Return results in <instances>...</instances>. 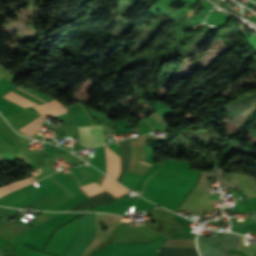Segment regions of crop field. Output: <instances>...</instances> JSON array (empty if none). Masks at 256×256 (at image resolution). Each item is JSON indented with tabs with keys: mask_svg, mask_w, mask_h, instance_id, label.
<instances>
[{
	"mask_svg": "<svg viewBox=\"0 0 256 256\" xmlns=\"http://www.w3.org/2000/svg\"><path fill=\"white\" fill-rule=\"evenodd\" d=\"M81 145L93 147L104 144L102 126L78 127Z\"/></svg>",
	"mask_w": 256,
	"mask_h": 256,
	"instance_id": "obj_1",
	"label": "crop field"
},
{
	"mask_svg": "<svg viewBox=\"0 0 256 256\" xmlns=\"http://www.w3.org/2000/svg\"><path fill=\"white\" fill-rule=\"evenodd\" d=\"M4 97L24 106H33V105H39L44 102L18 90L17 88L12 90L10 93L6 94Z\"/></svg>",
	"mask_w": 256,
	"mask_h": 256,
	"instance_id": "obj_2",
	"label": "crop field"
},
{
	"mask_svg": "<svg viewBox=\"0 0 256 256\" xmlns=\"http://www.w3.org/2000/svg\"><path fill=\"white\" fill-rule=\"evenodd\" d=\"M107 156V174L116 179L120 171L119 157L105 146Z\"/></svg>",
	"mask_w": 256,
	"mask_h": 256,
	"instance_id": "obj_3",
	"label": "crop field"
},
{
	"mask_svg": "<svg viewBox=\"0 0 256 256\" xmlns=\"http://www.w3.org/2000/svg\"><path fill=\"white\" fill-rule=\"evenodd\" d=\"M59 106H62L61 103L52 100V101H50V102H48L44 105L34 106V108L39 113H41V112H44V111H47V110H50V109H53V108H56V107H59ZM64 112H65V107L62 106V107H59V108L41 113V115L43 116V118H45V117H48V116L57 115V114H61V113H64Z\"/></svg>",
	"mask_w": 256,
	"mask_h": 256,
	"instance_id": "obj_4",
	"label": "crop field"
},
{
	"mask_svg": "<svg viewBox=\"0 0 256 256\" xmlns=\"http://www.w3.org/2000/svg\"><path fill=\"white\" fill-rule=\"evenodd\" d=\"M130 140L121 142V174L118 177L117 181L120 182L122 177L124 176L125 172L129 167V160H130Z\"/></svg>",
	"mask_w": 256,
	"mask_h": 256,
	"instance_id": "obj_5",
	"label": "crop field"
},
{
	"mask_svg": "<svg viewBox=\"0 0 256 256\" xmlns=\"http://www.w3.org/2000/svg\"><path fill=\"white\" fill-rule=\"evenodd\" d=\"M167 247H176V248H194L195 240H168L164 245Z\"/></svg>",
	"mask_w": 256,
	"mask_h": 256,
	"instance_id": "obj_6",
	"label": "crop field"
},
{
	"mask_svg": "<svg viewBox=\"0 0 256 256\" xmlns=\"http://www.w3.org/2000/svg\"><path fill=\"white\" fill-rule=\"evenodd\" d=\"M31 179H32L33 181H35V179H34L33 177H31ZM31 179L28 178V179L21 180V181H17V182H14V183H12V184H9V185H6V186H4V187H1V188H0V196L3 195V194H5V193H7V192H9V191L18 189V188H20V187H22V186H24V185H26V184L32 182Z\"/></svg>",
	"mask_w": 256,
	"mask_h": 256,
	"instance_id": "obj_7",
	"label": "crop field"
},
{
	"mask_svg": "<svg viewBox=\"0 0 256 256\" xmlns=\"http://www.w3.org/2000/svg\"><path fill=\"white\" fill-rule=\"evenodd\" d=\"M40 121H41V117L35 119L34 121H32L31 123H29L27 126L19 129L21 130L23 133L31 136L32 134L36 133L38 130H40Z\"/></svg>",
	"mask_w": 256,
	"mask_h": 256,
	"instance_id": "obj_8",
	"label": "crop field"
},
{
	"mask_svg": "<svg viewBox=\"0 0 256 256\" xmlns=\"http://www.w3.org/2000/svg\"><path fill=\"white\" fill-rule=\"evenodd\" d=\"M0 130L2 131V133L7 136L11 141H13L14 143H17L20 140L19 137H17L6 125L5 123L2 121V119L0 118Z\"/></svg>",
	"mask_w": 256,
	"mask_h": 256,
	"instance_id": "obj_9",
	"label": "crop field"
},
{
	"mask_svg": "<svg viewBox=\"0 0 256 256\" xmlns=\"http://www.w3.org/2000/svg\"><path fill=\"white\" fill-rule=\"evenodd\" d=\"M81 188H82V190H84V191H86V192H88L92 195L100 193L102 191H105L102 187H100L96 183L89 184V185H86V186H82Z\"/></svg>",
	"mask_w": 256,
	"mask_h": 256,
	"instance_id": "obj_10",
	"label": "crop field"
},
{
	"mask_svg": "<svg viewBox=\"0 0 256 256\" xmlns=\"http://www.w3.org/2000/svg\"><path fill=\"white\" fill-rule=\"evenodd\" d=\"M51 179L55 184H57L61 189H63L71 198L76 196L74 193H72L68 188H66L62 183H60L56 178H54L52 175L48 177Z\"/></svg>",
	"mask_w": 256,
	"mask_h": 256,
	"instance_id": "obj_11",
	"label": "crop field"
},
{
	"mask_svg": "<svg viewBox=\"0 0 256 256\" xmlns=\"http://www.w3.org/2000/svg\"><path fill=\"white\" fill-rule=\"evenodd\" d=\"M141 162V161H140ZM141 163H144V162H141ZM145 164H147V163H145ZM149 165H151V164H149Z\"/></svg>",
	"mask_w": 256,
	"mask_h": 256,
	"instance_id": "obj_12",
	"label": "crop field"
}]
</instances>
